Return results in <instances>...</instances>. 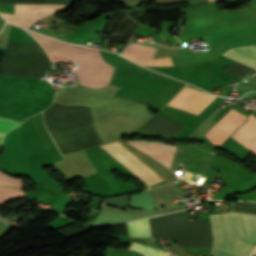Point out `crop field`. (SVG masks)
<instances>
[{
	"label": "crop field",
	"instance_id": "crop-field-9",
	"mask_svg": "<svg viewBox=\"0 0 256 256\" xmlns=\"http://www.w3.org/2000/svg\"><path fill=\"white\" fill-rule=\"evenodd\" d=\"M129 236L151 237L148 219L128 223Z\"/></svg>",
	"mask_w": 256,
	"mask_h": 256
},
{
	"label": "crop field",
	"instance_id": "crop-field-3",
	"mask_svg": "<svg viewBox=\"0 0 256 256\" xmlns=\"http://www.w3.org/2000/svg\"><path fill=\"white\" fill-rule=\"evenodd\" d=\"M100 147H102L105 151H107L110 155H112L115 159H117L140 179H142L146 185L150 186L160 182H164V180L159 175H157L153 170L146 166L142 161H140L117 141L107 145H102Z\"/></svg>",
	"mask_w": 256,
	"mask_h": 256
},
{
	"label": "crop field",
	"instance_id": "crop-field-8",
	"mask_svg": "<svg viewBox=\"0 0 256 256\" xmlns=\"http://www.w3.org/2000/svg\"><path fill=\"white\" fill-rule=\"evenodd\" d=\"M155 50V48L135 43L128 46L122 54L129 57L131 60L143 65L145 59H152Z\"/></svg>",
	"mask_w": 256,
	"mask_h": 256
},
{
	"label": "crop field",
	"instance_id": "crop-field-4",
	"mask_svg": "<svg viewBox=\"0 0 256 256\" xmlns=\"http://www.w3.org/2000/svg\"><path fill=\"white\" fill-rule=\"evenodd\" d=\"M23 6H46V10H35L45 9V7H25L35 9H24ZM15 15L8 13H1V15L8 21L13 22L19 26L29 29L38 20L53 14L59 10H62L68 6L65 5H14Z\"/></svg>",
	"mask_w": 256,
	"mask_h": 256
},
{
	"label": "crop field",
	"instance_id": "crop-field-14",
	"mask_svg": "<svg viewBox=\"0 0 256 256\" xmlns=\"http://www.w3.org/2000/svg\"><path fill=\"white\" fill-rule=\"evenodd\" d=\"M146 65H152V66H167V65H173L171 62V58H161V59H155V60H149L146 62Z\"/></svg>",
	"mask_w": 256,
	"mask_h": 256
},
{
	"label": "crop field",
	"instance_id": "crop-field-1",
	"mask_svg": "<svg viewBox=\"0 0 256 256\" xmlns=\"http://www.w3.org/2000/svg\"><path fill=\"white\" fill-rule=\"evenodd\" d=\"M213 236L211 254L249 256L256 243V216L235 211L209 215ZM210 254V253H209Z\"/></svg>",
	"mask_w": 256,
	"mask_h": 256
},
{
	"label": "crop field",
	"instance_id": "crop-field-7",
	"mask_svg": "<svg viewBox=\"0 0 256 256\" xmlns=\"http://www.w3.org/2000/svg\"><path fill=\"white\" fill-rule=\"evenodd\" d=\"M223 55L256 69L255 45L233 48L225 52Z\"/></svg>",
	"mask_w": 256,
	"mask_h": 256
},
{
	"label": "crop field",
	"instance_id": "crop-field-2",
	"mask_svg": "<svg viewBox=\"0 0 256 256\" xmlns=\"http://www.w3.org/2000/svg\"><path fill=\"white\" fill-rule=\"evenodd\" d=\"M49 52L53 60L59 62L72 61V58L99 57L98 50L67 44L29 32ZM42 45V46H43ZM43 47V48H44ZM44 48V49H45ZM51 58V59H52ZM100 58L73 59V61L97 60ZM76 74L79 83L90 88H102L109 84L114 67L104 60L77 62Z\"/></svg>",
	"mask_w": 256,
	"mask_h": 256
},
{
	"label": "crop field",
	"instance_id": "crop-field-11",
	"mask_svg": "<svg viewBox=\"0 0 256 256\" xmlns=\"http://www.w3.org/2000/svg\"><path fill=\"white\" fill-rule=\"evenodd\" d=\"M129 249L138 251V252L144 254L145 256H167V253H164L162 251L152 249V248H149V247H146V246L134 243V242L131 244Z\"/></svg>",
	"mask_w": 256,
	"mask_h": 256
},
{
	"label": "crop field",
	"instance_id": "crop-field-5",
	"mask_svg": "<svg viewBox=\"0 0 256 256\" xmlns=\"http://www.w3.org/2000/svg\"><path fill=\"white\" fill-rule=\"evenodd\" d=\"M216 96L200 92L188 86H185L178 95L168 104L187 112L198 115L206 106H208Z\"/></svg>",
	"mask_w": 256,
	"mask_h": 256
},
{
	"label": "crop field",
	"instance_id": "crop-field-10",
	"mask_svg": "<svg viewBox=\"0 0 256 256\" xmlns=\"http://www.w3.org/2000/svg\"><path fill=\"white\" fill-rule=\"evenodd\" d=\"M21 191L12 187H0V203L24 197L25 195Z\"/></svg>",
	"mask_w": 256,
	"mask_h": 256
},
{
	"label": "crop field",
	"instance_id": "crop-field-15",
	"mask_svg": "<svg viewBox=\"0 0 256 256\" xmlns=\"http://www.w3.org/2000/svg\"><path fill=\"white\" fill-rule=\"evenodd\" d=\"M254 253H256V249H255Z\"/></svg>",
	"mask_w": 256,
	"mask_h": 256
},
{
	"label": "crop field",
	"instance_id": "crop-field-16",
	"mask_svg": "<svg viewBox=\"0 0 256 256\" xmlns=\"http://www.w3.org/2000/svg\"><path fill=\"white\" fill-rule=\"evenodd\" d=\"M252 256H255V255H252Z\"/></svg>",
	"mask_w": 256,
	"mask_h": 256
},
{
	"label": "crop field",
	"instance_id": "crop-field-6",
	"mask_svg": "<svg viewBox=\"0 0 256 256\" xmlns=\"http://www.w3.org/2000/svg\"><path fill=\"white\" fill-rule=\"evenodd\" d=\"M129 144L140 149L152 158L170 168V164L177 146L163 145L158 141H128Z\"/></svg>",
	"mask_w": 256,
	"mask_h": 256
},
{
	"label": "crop field",
	"instance_id": "crop-field-12",
	"mask_svg": "<svg viewBox=\"0 0 256 256\" xmlns=\"http://www.w3.org/2000/svg\"><path fill=\"white\" fill-rule=\"evenodd\" d=\"M21 123L14 122L8 119H0V136H5L12 128L20 125ZM3 143V137H0V147Z\"/></svg>",
	"mask_w": 256,
	"mask_h": 256
},
{
	"label": "crop field",
	"instance_id": "crop-field-13",
	"mask_svg": "<svg viewBox=\"0 0 256 256\" xmlns=\"http://www.w3.org/2000/svg\"><path fill=\"white\" fill-rule=\"evenodd\" d=\"M11 177V176H10ZM0 171V185L14 186L24 189L22 179L10 178Z\"/></svg>",
	"mask_w": 256,
	"mask_h": 256
},
{
	"label": "crop field",
	"instance_id": "crop-field-17",
	"mask_svg": "<svg viewBox=\"0 0 256 256\" xmlns=\"http://www.w3.org/2000/svg\"><path fill=\"white\" fill-rule=\"evenodd\" d=\"M209 1H211V0H209Z\"/></svg>",
	"mask_w": 256,
	"mask_h": 256
}]
</instances>
